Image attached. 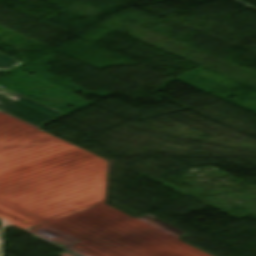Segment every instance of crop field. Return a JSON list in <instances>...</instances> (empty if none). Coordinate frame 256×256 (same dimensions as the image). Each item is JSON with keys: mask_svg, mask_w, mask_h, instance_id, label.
Listing matches in <instances>:
<instances>
[{"mask_svg": "<svg viewBox=\"0 0 256 256\" xmlns=\"http://www.w3.org/2000/svg\"><path fill=\"white\" fill-rule=\"evenodd\" d=\"M21 62L0 52V70H10ZM0 110L41 127L64 115L0 87Z\"/></svg>", "mask_w": 256, "mask_h": 256, "instance_id": "obj_1", "label": "crop field"}]
</instances>
